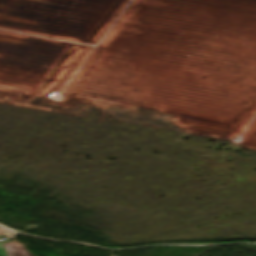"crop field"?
<instances>
[{"label": "crop field", "mask_w": 256, "mask_h": 256, "mask_svg": "<svg viewBox=\"0 0 256 256\" xmlns=\"http://www.w3.org/2000/svg\"><path fill=\"white\" fill-rule=\"evenodd\" d=\"M6 256H33L18 241L0 243ZM35 256V255H34Z\"/></svg>", "instance_id": "obj_1"}, {"label": "crop field", "mask_w": 256, "mask_h": 256, "mask_svg": "<svg viewBox=\"0 0 256 256\" xmlns=\"http://www.w3.org/2000/svg\"><path fill=\"white\" fill-rule=\"evenodd\" d=\"M0 256H5V254H4V252H3L2 248H1V246H0Z\"/></svg>", "instance_id": "obj_2"}]
</instances>
